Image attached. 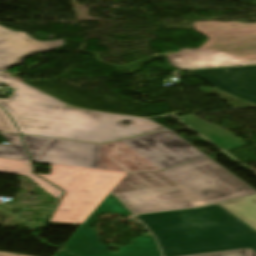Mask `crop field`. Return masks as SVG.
Instances as JSON below:
<instances>
[{
    "label": "crop field",
    "instance_id": "8a807250",
    "mask_svg": "<svg viewBox=\"0 0 256 256\" xmlns=\"http://www.w3.org/2000/svg\"><path fill=\"white\" fill-rule=\"evenodd\" d=\"M0 82L14 89L0 106L12 117L21 134L104 143L167 128L148 119L73 110L0 73ZM129 121L130 125H123Z\"/></svg>",
    "mask_w": 256,
    "mask_h": 256
},
{
    "label": "crop field",
    "instance_id": "ac0d7876",
    "mask_svg": "<svg viewBox=\"0 0 256 256\" xmlns=\"http://www.w3.org/2000/svg\"><path fill=\"white\" fill-rule=\"evenodd\" d=\"M135 217L156 236L164 256L243 248L256 252V232L217 204Z\"/></svg>",
    "mask_w": 256,
    "mask_h": 256
},
{
    "label": "crop field",
    "instance_id": "34b2d1b8",
    "mask_svg": "<svg viewBox=\"0 0 256 256\" xmlns=\"http://www.w3.org/2000/svg\"><path fill=\"white\" fill-rule=\"evenodd\" d=\"M181 186L113 194L132 214L203 206L256 193L208 156L162 171Z\"/></svg>",
    "mask_w": 256,
    "mask_h": 256
},
{
    "label": "crop field",
    "instance_id": "412701ff",
    "mask_svg": "<svg viewBox=\"0 0 256 256\" xmlns=\"http://www.w3.org/2000/svg\"><path fill=\"white\" fill-rule=\"evenodd\" d=\"M196 31L210 39L199 49L180 50L167 56L180 69L256 63V24L195 22Z\"/></svg>",
    "mask_w": 256,
    "mask_h": 256
},
{
    "label": "crop field",
    "instance_id": "f4fd0767",
    "mask_svg": "<svg viewBox=\"0 0 256 256\" xmlns=\"http://www.w3.org/2000/svg\"><path fill=\"white\" fill-rule=\"evenodd\" d=\"M126 174L51 164V175H38L66 194L50 222L82 224Z\"/></svg>",
    "mask_w": 256,
    "mask_h": 256
},
{
    "label": "crop field",
    "instance_id": "dd49c442",
    "mask_svg": "<svg viewBox=\"0 0 256 256\" xmlns=\"http://www.w3.org/2000/svg\"><path fill=\"white\" fill-rule=\"evenodd\" d=\"M103 212H114L125 218H129L131 215L110 192L79 229L65 242L63 247L78 256H160L150 233L147 236L134 239L130 245L125 247L100 245L99 234L92 230L91 226L96 223V217ZM108 246H113L120 252L112 253L107 250Z\"/></svg>",
    "mask_w": 256,
    "mask_h": 256
},
{
    "label": "crop field",
    "instance_id": "e52e79f7",
    "mask_svg": "<svg viewBox=\"0 0 256 256\" xmlns=\"http://www.w3.org/2000/svg\"><path fill=\"white\" fill-rule=\"evenodd\" d=\"M122 142L161 170L206 156L171 130Z\"/></svg>",
    "mask_w": 256,
    "mask_h": 256
},
{
    "label": "crop field",
    "instance_id": "d8731c3e",
    "mask_svg": "<svg viewBox=\"0 0 256 256\" xmlns=\"http://www.w3.org/2000/svg\"><path fill=\"white\" fill-rule=\"evenodd\" d=\"M22 137L33 161L98 167L101 145L26 135Z\"/></svg>",
    "mask_w": 256,
    "mask_h": 256
},
{
    "label": "crop field",
    "instance_id": "5a996713",
    "mask_svg": "<svg viewBox=\"0 0 256 256\" xmlns=\"http://www.w3.org/2000/svg\"><path fill=\"white\" fill-rule=\"evenodd\" d=\"M192 72L215 88L256 105V66L196 70Z\"/></svg>",
    "mask_w": 256,
    "mask_h": 256
},
{
    "label": "crop field",
    "instance_id": "3316defc",
    "mask_svg": "<svg viewBox=\"0 0 256 256\" xmlns=\"http://www.w3.org/2000/svg\"><path fill=\"white\" fill-rule=\"evenodd\" d=\"M63 45V40L40 42L24 33L0 27V70L5 71L24 62L25 58Z\"/></svg>",
    "mask_w": 256,
    "mask_h": 256
},
{
    "label": "crop field",
    "instance_id": "28ad6ade",
    "mask_svg": "<svg viewBox=\"0 0 256 256\" xmlns=\"http://www.w3.org/2000/svg\"><path fill=\"white\" fill-rule=\"evenodd\" d=\"M98 169L123 172L160 170L120 141L102 145Z\"/></svg>",
    "mask_w": 256,
    "mask_h": 256
},
{
    "label": "crop field",
    "instance_id": "d1516ede",
    "mask_svg": "<svg viewBox=\"0 0 256 256\" xmlns=\"http://www.w3.org/2000/svg\"><path fill=\"white\" fill-rule=\"evenodd\" d=\"M180 120L226 152L245 145L229 132L221 130L214 125H209L194 116L180 118Z\"/></svg>",
    "mask_w": 256,
    "mask_h": 256
},
{
    "label": "crop field",
    "instance_id": "22f410ed",
    "mask_svg": "<svg viewBox=\"0 0 256 256\" xmlns=\"http://www.w3.org/2000/svg\"><path fill=\"white\" fill-rule=\"evenodd\" d=\"M31 171L32 167L30 162L0 158V173L26 175L58 200L62 191L33 175Z\"/></svg>",
    "mask_w": 256,
    "mask_h": 256
},
{
    "label": "crop field",
    "instance_id": "cbeb9de0",
    "mask_svg": "<svg viewBox=\"0 0 256 256\" xmlns=\"http://www.w3.org/2000/svg\"><path fill=\"white\" fill-rule=\"evenodd\" d=\"M219 204L256 230V195Z\"/></svg>",
    "mask_w": 256,
    "mask_h": 256
},
{
    "label": "crop field",
    "instance_id": "5142ce71",
    "mask_svg": "<svg viewBox=\"0 0 256 256\" xmlns=\"http://www.w3.org/2000/svg\"><path fill=\"white\" fill-rule=\"evenodd\" d=\"M10 142V145L0 144V157L30 161V158L22 144L20 135L1 133Z\"/></svg>",
    "mask_w": 256,
    "mask_h": 256
},
{
    "label": "crop field",
    "instance_id": "d9b57169",
    "mask_svg": "<svg viewBox=\"0 0 256 256\" xmlns=\"http://www.w3.org/2000/svg\"><path fill=\"white\" fill-rule=\"evenodd\" d=\"M191 256H256V253H254L250 249H243V250L225 251V252L199 254V255H191Z\"/></svg>",
    "mask_w": 256,
    "mask_h": 256
},
{
    "label": "crop field",
    "instance_id": "733c2abd",
    "mask_svg": "<svg viewBox=\"0 0 256 256\" xmlns=\"http://www.w3.org/2000/svg\"><path fill=\"white\" fill-rule=\"evenodd\" d=\"M0 131L16 132L19 133L10 117L0 107Z\"/></svg>",
    "mask_w": 256,
    "mask_h": 256
},
{
    "label": "crop field",
    "instance_id": "4a817a6b",
    "mask_svg": "<svg viewBox=\"0 0 256 256\" xmlns=\"http://www.w3.org/2000/svg\"><path fill=\"white\" fill-rule=\"evenodd\" d=\"M54 256H73L65 251H63L61 248L58 250V252Z\"/></svg>",
    "mask_w": 256,
    "mask_h": 256
},
{
    "label": "crop field",
    "instance_id": "bc2a9ffb",
    "mask_svg": "<svg viewBox=\"0 0 256 256\" xmlns=\"http://www.w3.org/2000/svg\"><path fill=\"white\" fill-rule=\"evenodd\" d=\"M0 256H22V255H15V254H8L0 252Z\"/></svg>",
    "mask_w": 256,
    "mask_h": 256
}]
</instances>
